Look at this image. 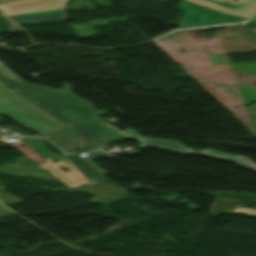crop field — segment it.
Wrapping results in <instances>:
<instances>
[{
	"label": "crop field",
	"instance_id": "e52e79f7",
	"mask_svg": "<svg viewBox=\"0 0 256 256\" xmlns=\"http://www.w3.org/2000/svg\"><path fill=\"white\" fill-rule=\"evenodd\" d=\"M68 0H18L0 5L5 15L64 8Z\"/></svg>",
	"mask_w": 256,
	"mask_h": 256
},
{
	"label": "crop field",
	"instance_id": "8a807250",
	"mask_svg": "<svg viewBox=\"0 0 256 256\" xmlns=\"http://www.w3.org/2000/svg\"><path fill=\"white\" fill-rule=\"evenodd\" d=\"M0 80L73 127L78 133L79 152L101 148L125 137L108 127L103 122L104 119L97 117L94 114L96 112L94 107L73 96L69 84H63L61 91L39 85H29L1 62Z\"/></svg>",
	"mask_w": 256,
	"mask_h": 256
},
{
	"label": "crop field",
	"instance_id": "3316defc",
	"mask_svg": "<svg viewBox=\"0 0 256 256\" xmlns=\"http://www.w3.org/2000/svg\"><path fill=\"white\" fill-rule=\"evenodd\" d=\"M48 136L65 153H76L75 133L71 129L66 127Z\"/></svg>",
	"mask_w": 256,
	"mask_h": 256
},
{
	"label": "crop field",
	"instance_id": "f4fd0767",
	"mask_svg": "<svg viewBox=\"0 0 256 256\" xmlns=\"http://www.w3.org/2000/svg\"><path fill=\"white\" fill-rule=\"evenodd\" d=\"M125 135H127L130 139L137 140L140 143L139 147L146 148L148 146L154 147V148H159L163 150H168V151H173L177 153H182V154H202L218 159H223V160H232L233 155L231 154H226L214 150H203L201 152H195L190 149H187L183 147L181 144L178 142H171V141H163V140H155V139H148L144 138L141 135L137 134L136 132L128 129L123 132H121Z\"/></svg>",
	"mask_w": 256,
	"mask_h": 256
},
{
	"label": "crop field",
	"instance_id": "34b2d1b8",
	"mask_svg": "<svg viewBox=\"0 0 256 256\" xmlns=\"http://www.w3.org/2000/svg\"><path fill=\"white\" fill-rule=\"evenodd\" d=\"M26 139L27 143L35 150L39 151L47 161L44 162L41 166L42 169L48 171L53 177L59 180L62 184L68 188L78 186L80 184L89 183L87 179L81 174V172L67 159L66 156L54 155L52 152L45 149L41 138H23ZM54 159L58 163L50 161ZM61 165L62 168H65L69 171L66 173L62 169H59L58 166Z\"/></svg>",
	"mask_w": 256,
	"mask_h": 256
},
{
	"label": "crop field",
	"instance_id": "22f410ed",
	"mask_svg": "<svg viewBox=\"0 0 256 256\" xmlns=\"http://www.w3.org/2000/svg\"><path fill=\"white\" fill-rule=\"evenodd\" d=\"M232 162L256 171V164L247 158L234 156Z\"/></svg>",
	"mask_w": 256,
	"mask_h": 256
},
{
	"label": "crop field",
	"instance_id": "d9b57169",
	"mask_svg": "<svg viewBox=\"0 0 256 256\" xmlns=\"http://www.w3.org/2000/svg\"><path fill=\"white\" fill-rule=\"evenodd\" d=\"M7 1H10V0H0V3L7 2Z\"/></svg>",
	"mask_w": 256,
	"mask_h": 256
},
{
	"label": "crop field",
	"instance_id": "d8731c3e",
	"mask_svg": "<svg viewBox=\"0 0 256 256\" xmlns=\"http://www.w3.org/2000/svg\"><path fill=\"white\" fill-rule=\"evenodd\" d=\"M19 25L65 20L64 9L9 16Z\"/></svg>",
	"mask_w": 256,
	"mask_h": 256
},
{
	"label": "crop field",
	"instance_id": "412701ff",
	"mask_svg": "<svg viewBox=\"0 0 256 256\" xmlns=\"http://www.w3.org/2000/svg\"><path fill=\"white\" fill-rule=\"evenodd\" d=\"M177 8L182 9L183 14L179 19L178 27H193L212 23L243 22L245 19L224 16L190 3L179 2Z\"/></svg>",
	"mask_w": 256,
	"mask_h": 256
},
{
	"label": "crop field",
	"instance_id": "4a817a6b",
	"mask_svg": "<svg viewBox=\"0 0 256 256\" xmlns=\"http://www.w3.org/2000/svg\"><path fill=\"white\" fill-rule=\"evenodd\" d=\"M1 39V38H0Z\"/></svg>",
	"mask_w": 256,
	"mask_h": 256
},
{
	"label": "crop field",
	"instance_id": "5a996713",
	"mask_svg": "<svg viewBox=\"0 0 256 256\" xmlns=\"http://www.w3.org/2000/svg\"><path fill=\"white\" fill-rule=\"evenodd\" d=\"M103 156L104 155L101 151H97V152L89 153L88 156L82 157L86 163H88L91 167H93L97 172L101 174L99 175L90 167H88L81 159H79L77 155H67L69 160L82 172V174L88 179L90 183L96 180L97 178H99L100 176L108 173L107 171L93 164L94 159L103 157Z\"/></svg>",
	"mask_w": 256,
	"mask_h": 256
},
{
	"label": "crop field",
	"instance_id": "5142ce71",
	"mask_svg": "<svg viewBox=\"0 0 256 256\" xmlns=\"http://www.w3.org/2000/svg\"><path fill=\"white\" fill-rule=\"evenodd\" d=\"M247 24L256 26V22H252V21L247 22Z\"/></svg>",
	"mask_w": 256,
	"mask_h": 256
},
{
	"label": "crop field",
	"instance_id": "28ad6ade",
	"mask_svg": "<svg viewBox=\"0 0 256 256\" xmlns=\"http://www.w3.org/2000/svg\"><path fill=\"white\" fill-rule=\"evenodd\" d=\"M125 18H112V19H105V20H95L88 24H73L69 23L71 27L74 29V31L81 37H87L88 35L95 34L93 29L90 26H97V25H105L108 24V21H114V20H123Z\"/></svg>",
	"mask_w": 256,
	"mask_h": 256
},
{
	"label": "crop field",
	"instance_id": "d1516ede",
	"mask_svg": "<svg viewBox=\"0 0 256 256\" xmlns=\"http://www.w3.org/2000/svg\"><path fill=\"white\" fill-rule=\"evenodd\" d=\"M220 213H243V214L256 216V209H252V208H234V209H230V210H226V211L211 214L210 217L214 216V215H217V214H220Z\"/></svg>",
	"mask_w": 256,
	"mask_h": 256
},
{
	"label": "crop field",
	"instance_id": "cbeb9de0",
	"mask_svg": "<svg viewBox=\"0 0 256 256\" xmlns=\"http://www.w3.org/2000/svg\"><path fill=\"white\" fill-rule=\"evenodd\" d=\"M4 29H5V24H4V22H3V20H2V18H1V16H0V33H1L2 31H4Z\"/></svg>",
	"mask_w": 256,
	"mask_h": 256
},
{
	"label": "crop field",
	"instance_id": "dd49c442",
	"mask_svg": "<svg viewBox=\"0 0 256 256\" xmlns=\"http://www.w3.org/2000/svg\"><path fill=\"white\" fill-rule=\"evenodd\" d=\"M202 5L215 11L248 19L256 10V0H184Z\"/></svg>",
	"mask_w": 256,
	"mask_h": 256
},
{
	"label": "crop field",
	"instance_id": "ac0d7876",
	"mask_svg": "<svg viewBox=\"0 0 256 256\" xmlns=\"http://www.w3.org/2000/svg\"><path fill=\"white\" fill-rule=\"evenodd\" d=\"M0 113L8 114L24 126L36 129L44 135L65 127V125L14 93L1 82Z\"/></svg>",
	"mask_w": 256,
	"mask_h": 256
},
{
	"label": "crop field",
	"instance_id": "733c2abd",
	"mask_svg": "<svg viewBox=\"0 0 256 256\" xmlns=\"http://www.w3.org/2000/svg\"><path fill=\"white\" fill-rule=\"evenodd\" d=\"M253 20H256V16L252 18Z\"/></svg>",
	"mask_w": 256,
	"mask_h": 256
}]
</instances>
